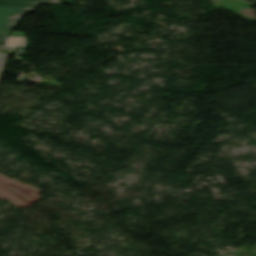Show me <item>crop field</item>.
I'll use <instances>...</instances> for the list:
<instances>
[{"label": "crop field", "mask_w": 256, "mask_h": 256, "mask_svg": "<svg viewBox=\"0 0 256 256\" xmlns=\"http://www.w3.org/2000/svg\"><path fill=\"white\" fill-rule=\"evenodd\" d=\"M7 56L8 55H6V54H0V77H1V74L4 70Z\"/></svg>", "instance_id": "34b2d1b8"}, {"label": "crop field", "mask_w": 256, "mask_h": 256, "mask_svg": "<svg viewBox=\"0 0 256 256\" xmlns=\"http://www.w3.org/2000/svg\"><path fill=\"white\" fill-rule=\"evenodd\" d=\"M10 32L11 31L0 30V49L4 42L6 41L7 37L9 36Z\"/></svg>", "instance_id": "ac0d7876"}, {"label": "crop field", "mask_w": 256, "mask_h": 256, "mask_svg": "<svg viewBox=\"0 0 256 256\" xmlns=\"http://www.w3.org/2000/svg\"><path fill=\"white\" fill-rule=\"evenodd\" d=\"M40 2L60 3V0H0V29L12 30L19 18Z\"/></svg>", "instance_id": "8a807250"}]
</instances>
